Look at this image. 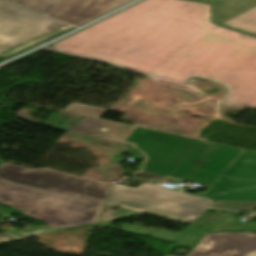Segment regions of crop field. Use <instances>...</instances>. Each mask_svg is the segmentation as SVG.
<instances>
[{
	"label": "crop field",
	"mask_w": 256,
	"mask_h": 256,
	"mask_svg": "<svg viewBox=\"0 0 256 256\" xmlns=\"http://www.w3.org/2000/svg\"><path fill=\"white\" fill-rule=\"evenodd\" d=\"M4 162L0 159V165H2Z\"/></svg>",
	"instance_id": "17"
},
{
	"label": "crop field",
	"mask_w": 256,
	"mask_h": 256,
	"mask_svg": "<svg viewBox=\"0 0 256 256\" xmlns=\"http://www.w3.org/2000/svg\"><path fill=\"white\" fill-rule=\"evenodd\" d=\"M212 21V5L144 0L51 46L150 75Z\"/></svg>",
	"instance_id": "1"
},
{
	"label": "crop field",
	"mask_w": 256,
	"mask_h": 256,
	"mask_svg": "<svg viewBox=\"0 0 256 256\" xmlns=\"http://www.w3.org/2000/svg\"><path fill=\"white\" fill-rule=\"evenodd\" d=\"M108 203L192 224L210 201L147 183L113 186Z\"/></svg>",
	"instance_id": "5"
},
{
	"label": "crop field",
	"mask_w": 256,
	"mask_h": 256,
	"mask_svg": "<svg viewBox=\"0 0 256 256\" xmlns=\"http://www.w3.org/2000/svg\"><path fill=\"white\" fill-rule=\"evenodd\" d=\"M0 203L44 221L53 228L97 222L104 204L67 196L0 178Z\"/></svg>",
	"instance_id": "3"
},
{
	"label": "crop field",
	"mask_w": 256,
	"mask_h": 256,
	"mask_svg": "<svg viewBox=\"0 0 256 256\" xmlns=\"http://www.w3.org/2000/svg\"><path fill=\"white\" fill-rule=\"evenodd\" d=\"M151 75L213 80L228 90L223 105L256 108V39L209 23Z\"/></svg>",
	"instance_id": "2"
},
{
	"label": "crop field",
	"mask_w": 256,
	"mask_h": 256,
	"mask_svg": "<svg viewBox=\"0 0 256 256\" xmlns=\"http://www.w3.org/2000/svg\"><path fill=\"white\" fill-rule=\"evenodd\" d=\"M0 177L15 183L27 184L102 203H105L113 186L49 168L30 170L7 163L0 166Z\"/></svg>",
	"instance_id": "7"
},
{
	"label": "crop field",
	"mask_w": 256,
	"mask_h": 256,
	"mask_svg": "<svg viewBox=\"0 0 256 256\" xmlns=\"http://www.w3.org/2000/svg\"><path fill=\"white\" fill-rule=\"evenodd\" d=\"M223 176L233 179H256V152L244 150Z\"/></svg>",
	"instance_id": "11"
},
{
	"label": "crop field",
	"mask_w": 256,
	"mask_h": 256,
	"mask_svg": "<svg viewBox=\"0 0 256 256\" xmlns=\"http://www.w3.org/2000/svg\"><path fill=\"white\" fill-rule=\"evenodd\" d=\"M73 28L0 2V56L10 57Z\"/></svg>",
	"instance_id": "6"
},
{
	"label": "crop field",
	"mask_w": 256,
	"mask_h": 256,
	"mask_svg": "<svg viewBox=\"0 0 256 256\" xmlns=\"http://www.w3.org/2000/svg\"><path fill=\"white\" fill-rule=\"evenodd\" d=\"M130 0H60L47 16L79 26Z\"/></svg>",
	"instance_id": "9"
},
{
	"label": "crop field",
	"mask_w": 256,
	"mask_h": 256,
	"mask_svg": "<svg viewBox=\"0 0 256 256\" xmlns=\"http://www.w3.org/2000/svg\"><path fill=\"white\" fill-rule=\"evenodd\" d=\"M203 197L213 200L256 201V180H233L221 176Z\"/></svg>",
	"instance_id": "10"
},
{
	"label": "crop field",
	"mask_w": 256,
	"mask_h": 256,
	"mask_svg": "<svg viewBox=\"0 0 256 256\" xmlns=\"http://www.w3.org/2000/svg\"><path fill=\"white\" fill-rule=\"evenodd\" d=\"M115 207V205L105 203L101 214H110Z\"/></svg>",
	"instance_id": "16"
},
{
	"label": "crop field",
	"mask_w": 256,
	"mask_h": 256,
	"mask_svg": "<svg viewBox=\"0 0 256 256\" xmlns=\"http://www.w3.org/2000/svg\"><path fill=\"white\" fill-rule=\"evenodd\" d=\"M211 207L249 211L256 209V202L214 201Z\"/></svg>",
	"instance_id": "15"
},
{
	"label": "crop field",
	"mask_w": 256,
	"mask_h": 256,
	"mask_svg": "<svg viewBox=\"0 0 256 256\" xmlns=\"http://www.w3.org/2000/svg\"><path fill=\"white\" fill-rule=\"evenodd\" d=\"M223 25L256 35V7L224 23Z\"/></svg>",
	"instance_id": "13"
},
{
	"label": "crop field",
	"mask_w": 256,
	"mask_h": 256,
	"mask_svg": "<svg viewBox=\"0 0 256 256\" xmlns=\"http://www.w3.org/2000/svg\"><path fill=\"white\" fill-rule=\"evenodd\" d=\"M64 110L86 115L70 131L125 141L137 126L99 119L107 109L73 103ZM244 149L213 143L181 181L212 186ZM199 168L201 169L200 171Z\"/></svg>",
	"instance_id": "4"
},
{
	"label": "crop field",
	"mask_w": 256,
	"mask_h": 256,
	"mask_svg": "<svg viewBox=\"0 0 256 256\" xmlns=\"http://www.w3.org/2000/svg\"><path fill=\"white\" fill-rule=\"evenodd\" d=\"M46 15L59 0H4Z\"/></svg>",
	"instance_id": "14"
},
{
	"label": "crop field",
	"mask_w": 256,
	"mask_h": 256,
	"mask_svg": "<svg viewBox=\"0 0 256 256\" xmlns=\"http://www.w3.org/2000/svg\"><path fill=\"white\" fill-rule=\"evenodd\" d=\"M188 256H256V234H207Z\"/></svg>",
	"instance_id": "8"
},
{
	"label": "crop field",
	"mask_w": 256,
	"mask_h": 256,
	"mask_svg": "<svg viewBox=\"0 0 256 256\" xmlns=\"http://www.w3.org/2000/svg\"><path fill=\"white\" fill-rule=\"evenodd\" d=\"M215 3L217 22L222 24L256 6V0H200Z\"/></svg>",
	"instance_id": "12"
}]
</instances>
